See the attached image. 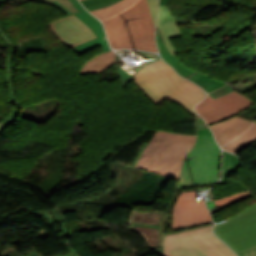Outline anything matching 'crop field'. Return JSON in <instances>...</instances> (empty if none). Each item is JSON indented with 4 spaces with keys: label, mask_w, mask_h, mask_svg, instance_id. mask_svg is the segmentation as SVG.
Wrapping results in <instances>:
<instances>
[{
    "label": "crop field",
    "mask_w": 256,
    "mask_h": 256,
    "mask_svg": "<svg viewBox=\"0 0 256 256\" xmlns=\"http://www.w3.org/2000/svg\"><path fill=\"white\" fill-rule=\"evenodd\" d=\"M133 79L156 105L168 97L193 115V106L206 95L197 85L177 75L163 60L145 66Z\"/></svg>",
    "instance_id": "1"
},
{
    "label": "crop field",
    "mask_w": 256,
    "mask_h": 256,
    "mask_svg": "<svg viewBox=\"0 0 256 256\" xmlns=\"http://www.w3.org/2000/svg\"><path fill=\"white\" fill-rule=\"evenodd\" d=\"M220 148L213 136L198 135L184 161L177 189L215 184L218 180Z\"/></svg>",
    "instance_id": "2"
},
{
    "label": "crop field",
    "mask_w": 256,
    "mask_h": 256,
    "mask_svg": "<svg viewBox=\"0 0 256 256\" xmlns=\"http://www.w3.org/2000/svg\"><path fill=\"white\" fill-rule=\"evenodd\" d=\"M205 225L166 235L165 256H237Z\"/></svg>",
    "instance_id": "3"
},
{
    "label": "crop field",
    "mask_w": 256,
    "mask_h": 256,
    "mask_svg": "<svg viewBox=\"0 0 256 256\" xmlns=\"http://www.w3.org/2000/svg\"><path fill=\"white\" fill-rule=\"evenodd\" d=\"M119 16L129 48L158 52L147 0L138 1Z\"/></svg>",
    "instance_id": "4"
},
{
    "label": "crop field",
    "mask_w": 256,
    "mask_h": 256,
    "mask_svg": "<svg viewBox=\"0 0 256 256\" xmlns=\"http://www.w3.org/2000/svg\"><path fill=\"white\" fill-rule=\"evenodd\" d=\"M227 220L214 231L233 251L256 245V203Z\"/></svg>",
    "instance_id": "5"
},
{
    "label": "crop field",
    "mask_w": 256,
    "mask_h": 256,
    "mask_svg": "<svg viewBox=\"0 0 256 256\" xmlns=\"http://www.w3.org/2000/svg\"><path fill=\"white\" fill-rule=\"evenodd\" d=\"M195 139L193 135L170 134L150 172L177 179L183 157Z\"/></svg>",
    "instance_id": "6"
},
{
    "label": "crop field",
    "mask_w": 256,
    "mask_h": 256,
    "mask_svg": "<svg viewBox=\"0 0 256 256\" xmlns=\"http://www.w3.org/2000/svg\"><path fill=\"white\" fill-rule=\"evenodd\" d=\"M238 91H233L216 100L207 96L196 106V110L206 119L208 125L228 119L254 104Z\"/></svg>",
    "instance_id": "7"
},
{
    "label": "crop field",
    "mask_w": 256,
    "mask_h": 256,
    "mask_svg": "<svg viewBox=\"0 0 256 256\" xmlns=\"http://www.w3.org/2000/svg\"><path fill=\"white\" fill-rule=\"evenodd\" d=\"M196 191L183 192L178 198L172 219V232L193 228L211 221L204 200L196 201Z\"/></svg>",
    "instance_id": "8"
},
{
    "label": "crop field",
    "mask_w": 256,
    "mask_h": 256,
    "mask_svg": "<svg viewBox=\"0 0 256 256\" xmlns=\"http://www.w3.org/2000/svg\"><path fill=\"white\" fill-rule=\"evenodd\" d=\"M137 1L121 0L103 9L91 11L92 14L103 21L111 47L115 49L128 48L118 14L131 7Z\"/></svg>",
    "instance_id": "9"
},
{
    "label": "crop field",
    "mask_w": 256,
    "mask_h": 256,
    "mask_svg": "<svg viewBox=\"0 0 256 256\" xmlns=\"http://www.w3.org/2000/svg\"><path fill=\"white\" fill-rule=\"evenodd\" d=\"M59 40L70 48L84 41L95 38L91 30L74 14L49 23Z\"/></svg>",
    "instance_id": "10"
},
{
    "label": "crop field",
    "mask_w": 256,
    "mask_h": 256,
    "mask_svg": "<svg viewBox=\"0 0 256 256\" xmlns=\"http://www.w3.org/2000/svg\"><path fill=\"white\" fill-rule=\"evenodd\" d=\"M75 15L93 31V33L96 35L97 38L84 42L80 45H77L71 48L72 50H74L79 55L99 45L102 46L104 52L111 50L104 32V29L102 27L101 21L95 19L86 10L75 13Z\"/></svg>",
    "instance_id": "11"
},
{
    "label": "crop field",
    "mask_w": 256,
    "mask_h": 256,
    "mask_svg": "<svg viewBox=\"0 0 256 256\" xmlns=\"http://www.w3.org/2000/svg\"><path fill=\"white\" fill-rule=\"evenodd\" d=\"M161 215L157 213H133L131 220L132 227L143 235L150 248L157 246Z\"/></svg>",
    "instance_id": "12"
},
{
    "label": "crop field",
    "mask_w": 256,
    "mask_h": 256,
    "mask_svg": "<svg viewBox=\"0 0 256 256\" xmlns=\"http://www.w3.org/2000/svg\"><path fill=\"white\" fill-rule=\"evenodd\" d=\"M251 124V121L235 116L209 127L213 131L218 144L222 146L246 131Z\"/></svg>",
    "instance_id": "13"
},
{
    "label": "crop field",
    "mask_w": 256,
    "mask_h": 256,
    "mask_svg": "<svg viewBox=\"0 0 256 256\" xmlns=\"http://www.w3.org/2000/svg\"><path fill=\"white\" fill-rule=\"evenodd\" d=\"M0 36L5 43L6 46H12V41L6 37L5 33L3 32V28L0 25ZM10 54V53H9ZM13 55H14V47L12 50V53L6 57V62H5V74H6V80H7V87H8V94H9V102L16 103V106L13 108V110L5 116L3 119H1L3 122L6 124H11L13 121H15L16 115L19 113L20 109V103L18 101V98L15 95L14 88L12 85V77H13V65H12V60H13Z\"/></svg>",
    "instance_id": "14"
},
{
    "label": "crop field",
    "mask_w": 256,
    "mask_h": 256,
    "mask_svg": "<svg viewBox=\"0 0 256 256\" xmlns=\"http://www.w3.org/2000/svg\"><path fill=\"white\" fill-rule=\"evenodd\" d=\"M180 21V20H179ZM177 21L169 12L167 6L159 7V20L158 29L162 36L164 43L167 45L171 54L178 53L172 46L169 39L180 37L181 34L176 25L183 24V22Z\"/></svg>",
    "instance_id": "15"
},
{
    "label": "crop field",
    "mask_w": 256,
    "mask_h": 256,
    "mask_svg": "<svg viewBox=\"0 0 256 256\" xmlns=\"http://www.w3.org/2000/svg\"><path fill=\"white\" fill-rule=\"evenodd\" d=\"M168 136L169 133L157 131L154 138L146 146L136 167L146 171H150Z\"/></svg>",
    "instance_id": "16"
},
{
    "label": "crop field",
    "mask_w": 256,
    "mask_h": 256,
    "mask_svg": "<svg viewBox=\"0 0 256 256\" xmlns=\"http://www.w3.org/2000/svg\"><path fill=\"white\" fill-rule=\"evenodd\" d=\"M157 41H158V46L160 50L161 57L172 67L175 68V70L183 77L188 78L192 80L193 82L200 76L204 75L202 73H198L195 71H192L191 69L187 68L183 64L179 62V60L176 58L175 55H171L170 52L167 50L166 45L163 43L161 36L159 34V31L157 29ZM208 76V75H204ZM210 77V76H208Z\"/></svg>",
    "instance_id": "17"
},
{
    "label": "crop field",
    "mask_w": 256,
    "mask_h": 256,
    "mask_svg": "<svg viewBox=\"0 0 256 256\" xmlns=\"http://www.w3.org/2000/svg\"><path fill=\"white\" fill-rule=\"evenodd\" d=\"M115 56L116 52L110 51L90 59L82 66L80 75L99 73L104 71L115 63Z\"/></svg>",
    "instance_id": "18"
},
{
    "label": "crop field",
    "mask_w": 256,
    "mask_h": 256,
    "mask_svg": "<svg viewBox=\"0 0 256 256\" xmlns=\"http://www.w3.org/2000/svg\"><path fill=\"white\" fill-rule=\"evenodd\" d=\"M255 139L256 122H254L253 126L249 130H247L241 137L235 139L234 141L223 147V149L228 150L234 154H237L243 147H245Z\"/></svg>",
    "instance_id": "19"
},
{
    "label": "crop field",
    "mask_w": 256,
    "mask_h": 256,
    "mask_svg": "<svg viewBox=\"0 0 256 256\" xmlns=\"http://www.w3.org/2000/svg\"><path fill=\"white\" fill-rule=\"evenodd\" d=\"M239 159L237 156L223 151V170L220 183L225 184L226 177L239 168Z\"/></svg>",
    "instance_id": "20"
},
{
    "label": "crop field",
    "mask_w": 256,
    "mask_h": 256,
    "mask_svg": "<svg viewBox=\"0 0 256 256\" xmlns=\"http://www.w3.org/2000/svg\"><path fill=\"white\" fill-rule=\"evenodd\" d=\"M250 195H253L252 193H250L248 190L244 191V192H241V193H238V194H235V195H232V196H228V197H225V198H222V199H218V200H215V203H216V206H220L222 208H225L241 199H244ZM242 201V200H241ZM240 202V201H239Z\"/></svg>",
    "instance_id": "21"
},
{
    "label": "crop field",
    "mask_w": 256,
    "mask_h": 256,
    "mask_svg": "<svg viewBox=\"0 0 256 256\" xmlns=\"http://www.w3.org/2000/svg\"><path fill=\"white\" fill-rule=\"evenodd\" d=\"M195 82L203 87L207 91V93L226 85V83L204 76H200Z\"/></svg>",
    "instance_id": "22"
},
{
    "label": "crop field",
    "mask_w": 256,
    "mask_h": 256,
    "mask_svg": "<svg viewBox=\"0 0 256 256\" xmlns=\"http://www.w3.org/2000/svg\"><path fill=\"white\" fill-rule=\"evenodd\" d=\"M142 53L145 54L148 58H150V60H147L142 65L134 68L136 71L140 70L142 67H144L145 65H147L150 62L160 59L159 56H157V55H155L153 53H147V52H142ZM116 68H117V70H118V72H119V74L121 76L123 85L134 75L133 74L131 76L130 74H128L126 71H124L119 66H116Z\"/></svg>",
    "instance_id": "23"
},
{
    "label": "crop field",
    "mask_w": 256,
    "mask_h": 256,
    "mask_svg": "<svg viewBox=\"0 0 256 256\" xmlns=\"http://www.w3.org/2000/svg\"><path fill=\"white\" fill-rule=\"evenodd\" d=\"M119 0H81L82 4L88 11L102 8L107 5H111Z\"/></svg>",
    "instance_id": "24"
},
{
    "label": "crop field",
    "mask_w": 256,
    "mask_h": 256,
    "mask_svg": "<svg viewBox=\"0 0 256 256\" xmlns=\"http://www.w3.org/2000/svg\"><path fill=\"white\" fill-rule=\"evenodd\" d=\"M196 130L198 134L213 135L201 117L197 115Z\"/></svg>",
    "instance_id": "25"
},
{
    "label": "crop field",
    "mask_w": 256,
    "mask_h": 256,
    "mask_svg": "<svg viewBox=\"0 0 256 256\" xmlns=\"http://www.w3.org/2000/svg\"><path fill=\"white\" fill-rule=\"evenodd\" d=\"M34 1H41V2H46L48 4H51L55 0H34ZM60 3H62L68 10H70L72 13L77 12L75 7L70 3L69 0H56Z\"/></svg>",
    "instance_id": "26"
},
{
    "label": "crop field",
    "mask_w": 256,
    "mask_h": 256,
    "mask_svg": "<svg viewBox=\"0 0 256 256\" xmlns=\"http://www.w3.org/2000/svg\"><path fill=\"white\" fill-rule=\"evenodd\" d=\"M233 90H234L233 88H231L229 85H227V86H225V87H223V88H221V89H219L217 91H214V92H212V93H210L208 95H210L212 98L216 99V98H218V97H220V96H222V95H224L226 93H229V92H231Z\"/></svg>",
    "instance_id": "27"
},
{
    "label": "crop field",
    "mask_w": 256,
    "mask_h": 256,
    "mask_svg": "<svg viewBox=\"0 0 256 256\" xmlns=\"http://www.w3.org/2000/svg\"><path fill=\"white\" fill-rule=\"evenodd\" d=\"M165 214L162 215V219H161V223H160V231H159V243L157 247H163V243H164V222L166 219Z\"/></svg>",
    "instance_id": "28"
},
{
    "label": "crop field",
    "mask_w": 256,
    "mask_h": 256,
    "mask_svg": "<svg viewBox=\"0 0 256 256\" xmlns=\"http://www.w3.org/2000/svg\"><path fill=\"white\" fill-rule=\"evenodd\" d=\"M150 11L152 14V18L154 21V24H156V12H157V3L158 0H148Z\"/></svg>",
    "instance_id": "29"
},
{
    "label": "crop field",
    "mask_w": 256,
    "mask_h": 256,
    "mask_svg": "<svg viewBox=\"0 0 256 256\" xmlns=\"http://www.w3.org/2000/svg\"><path fill=\"white\" fill-rule=\"evenodd\" d=\"M238 256H256V246L237 252Z\"/></svg>",
    "instance_id": "30"
},
{
    "label": "crop field",
    "mask_w": 256,
    "mask_h": 256,
    "mask_svg": "<svg viewBox=\"0 0 256 256\" xmlns=\"http://www.w3.org/2000/svg\"><path fill=\"white\" fill-rule=\"evenodd\" d=\"M53 214V218L55 219L56 222L64 221V218L61 216V214L56 210V208H52L51 210Z\"/></svg>",
    "instance_id": "31"
},
{
    "label": "crop field",
    "mask_w": 256,
    "mask_h": 256,
    "mask_svg": "<svg viewBox=\"0 0 256 256\" xmlns=\"http://www.w3.org/2000/svg\"><path fill=\"white\" fill-rule=\"evenodd\" d=\"M36 213H41L44 215V217L47 219V221L49 222V224H55L53 218H52V214L50 212H46V211H40V212H36Z\"/></svg>",
    "instance_id": "32"
},
{
    "label": "crop field",
    "mask_w": 256,
    "mask_h": 256,
    "mask_svg": "<svg viewBox=\"0 0 256 256\" xmlns=\"http://www.w3.org/2000/svg\"><path fill=\"white\" fill-rule=\"evenodd\" d=\"M147 144H148V143L143 142V144H142V146H141V148H140V150H139V152H138V154H137V157H136V159H135V161H134V163H133L132 166L135 167V165H136L138 159L140 158V156H141V154H142V152H143V150H144V148H145V146H146Z\"/></svg>",
    "instance_id": "33"
},
{
    "label": "crop field",
    "mask_w": 256,
    "mask_h": 256,
    "mask_svg": "<svg viewBox=\"0 0 256 256\" xmlns=\"http://www.w3.org/2000/svg\"><path fill=\"white\" fill-rule=\"evenodd\" d=\"M54 6L60 8L63 12H65L67 15L71 14V12H69L62 4L58 3V2H54L52 3Z\"/></svg>",
    "instance_id": "34"
},
{
    "label": "crop field",
    "mask_w": 256,
    "mask_h": 256,
    "mask_svg": "<svg viewBox=\"0 0 256 256\" xmlns=\"http://www.w3.org/2000/svg\"><path fill=\"white\" fill-rule=\"evenodd\" d=\"M209 199H210V202H206V203H207L209 210H212V208L215 206V204H214V201H212L210 190H209Z\"/></svg>",
    "instance_id": "35"
},
{
    "label": "crop field",
    "mask_w": 256,
    "mask_h": 256,
    "mask_svg": "<svg viewBox=\"0 0 256 256\" xmlns=\"http://www.w3.org/2000/svg\"><path fill=\"white\" fill-rule=\"evenodd\" d=\"M72 4L77 8L78 11L84 9L77 0H70Z\"/></svg>",
    "instance_id": "36"
},
{
    "label": "crop field",
    "mask_w": 256,
    "mask_h": 256,
    "mask_svg": "<svg viewBox=\"0 0 256 256\" xmlns=\"http://www.w3.org/2000/svg\"><path fill=\"white\" fill-rule=\"evenodd\" d=\"M6 127H8L5 123H3L2 121H0V133L2 132L3 129H5Z\"/></svg>",
    "instance_id": "37"
},
{
    "label": "crop field",
    "mask_w": 256,
    "mask_h": 256,
    "mask_svg": "<svg viewBox=\"0 0 256 256\" xmlns=\"http://www.w3.org/2000/svg\"><path fill=\"white\" fill-rule=\"evenodd\" d=\"M67 248H68V250H69L74 256H79V255L72 249L71 246H68Z\"/></svg>",
    "instance_id": "38"
},
{
    "label": "crop field",
    "mask_w": 256,
    "mask_h": 256,
    "mask_svg": "<svg viewBox=\"0 0 256 256\" xmlns=\"http://www.w3.org/2000/svg\"><path fill=\"white\" fill-rule=\"evenodd\" d=\"M160 5H168V0H161Z\"/></svg>",
    "instance_id": "39"
}]
</instances>
